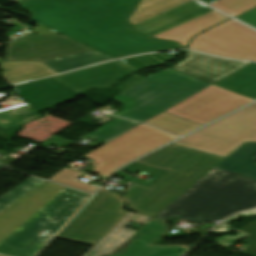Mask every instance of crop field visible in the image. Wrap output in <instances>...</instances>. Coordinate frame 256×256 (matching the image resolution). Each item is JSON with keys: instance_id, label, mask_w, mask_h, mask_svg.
I'll list each match as a JSON object with an SVG mask.
<instances>
[{"instance_id": "32", "label": "crop field", "mask_w": 256, "mask_h": 256, "mask_svg": "<svg viewBox=\"0 0 256 256\" xmlns=\"http://www.w3.org/2000/svg\"><path fill=\"white\" fill-rule=\"evenodd\" d=\"M201 1H203V2H205V3H207V4H209V3H212V2H214V1H216V0H201Z\"/></svg>"}, {"instance_id": "14", "label": "crop field", "mask_w": 256, "mask_h": 256, "mask_svg": "<svg viewBox=\"0 0 256 256\" xmlns=\"http://www.w3.org/2000/svg\"><path fill=\"white\" fill-rule=\"evenodd\" d=\"M227 19L229 18L216 11H213L209 14H206L197 19L189 21L178 27H175L166 32L158 34L154 37L161 38V39L174 40L184 47V46H187L192 36H195L198 33L210 28L211 26H214Z\"/></svg>"}, {"instance_id": "31", "label": "crop field", "mask_w": 256, "mask_h": 256, "mask_svg": "<svg viewBox=\"0 0 256 256\" xmlns=\"http://www.w3.org/2000/svg\"><path fill=\"white\" fill-rule=\"evenodd\" d=\"M226 231H230V230L226 227V225L224 223H222L220 226H218L212 232H226Z\"/></svg>"}, {"instance_id": "3", "label": "crop field", "mask_w": 256, "mask_h": 256, "mask_svg": "<svg viewBox=\"0 0 256 256\" xmlns=\"http://www.w3.org/2000/svg\"><path fill=\"white\" fill-rule=\"evenodd\" d=\"M254 207L256 181L213 168L151 222L165 225L174 217L200 224Z\"/></svg>"}, {"instance_id": "29", "label": "crop field", "mask_w": 256, "mask_h": 256, "mask_svg": "<svg viewBox=\"0 0 256 256\" xmlns=\"http://www.w3.org/2000/svg\"><path fill=\"white\" fill-rule=\"evenodd\" d=\"M144 77H140V76H136L134 75L130 80L122 83L120 86H118L117 88L113 89L119 93L123 92L124 90H126L127 88H129L130 86H132L133 84H135L136 82H138L139 80L143 79Z\"/></svg>"}, {"instance_id": "5", "label": "crop field", "mask_w": 256, "mask_h": 256, "mask_svg": "<svg viewBox=\"0 0 256 256\" xmlns=\"http://www.w3.org/2000/svg\"><path fill=\"white\" fill-rule=\"evenodd\" d=\"M246 141L256 142V103L173 144L226 157Z\"/></svg>"}, {"instance_id": "22", "label": "crop field", "mask_w": 256, "mask_h": 256, "mask_svg": "<svg viewBox=\"0 0 256 256\" xmlns=\"http://www.w3.org/2000/svg\"><path fill=\"white\" fill-rule=\"evenodd\" d=\"M10 86L54 75L52 71L40 63L12 69L2 72Z\"/></svg>"}, {"instance_id": "26", "label": "crop field", "mask_w": 256, "mask_h": 256, "mask_svg": "<svg viewBox=\"0 0 256 256\" xmlns=\"http://www.w3.org/2000/svg\"><path fill=\"white\" fill-rule=\"evenodd\" d=\"M121 61L140 70V69L148 68V67L159 65V64H164L165 62L170 60L161 54H145V55H140L136 57L125 58Z\"/></svg>"}, {"instance_id": "25", "label": "crop field", "mask_w": 256, "mask_h": 256, "mask_svg": "<svg viewBox=\"0 0 256 256\" xmlns=\"http://www.w3.org/2000/svg\"><path fill=\"white\" fill-rule=\"evenodd\" d=\"M37 86L52 94L61 101H70L75 99V92L60 84L56 80L50 78L38 82H34Z\"/></svg>"}, {"instance_id": "7", "label": "crop field", "mask_w": 256, "mask_h": 256, "mask_svg": "<svg viewBox=\"0 0 256 256\" xmlns=\"http://www.w3.org/2000/svg\"><path fill=\"white\" fill-rule=\"evenodd\" d=\"M123 204L121 196L101 189L56 237L94 246L128 213Z\"/></svg>"}, {"instance_id": "21", "label": "crop field", "mask_w": 256, "mask_h": 256, "mask_svg": "<svg viewBox=\"0 0 256 256\" xmlns=\"http://www.w3.org/2000/svg\"><path fill=\"white\" fill-rule=\"evenodd\" d=\"M138 125H140V123L115 118L102 126L100 129L80 137L79 140L82 141L90 137L96 141L105 144Z\"/></svg>"}, {"instance_id": "17", "label": "crop field", "mask_w": 256, "mask_h": 256, "mask_svg": "<svg viewBox=\"0 0 256 256\" xmlns=\"http://www.w3.org/2000/svg\"><path fill=\"white\" fill-rule=\"evenodd\" d=\"M137 216V214L129 212L108 234V236L88 251L84 256H107L124 241L131 237L136 231L126 229L129 223Z\"/></svg>"}, {"instance_id": "11", "label": "crop field", "mask_w": 256, "mask_h": 256, "mask_svg": "<svg viewBox=\"0 0 256 256\" xmlns=\"http://www.w3.org/2000/svg\"><path fill=\"white\" fill-rule=\"evenodd\" d=\"M135 71L137 70L117 60L52 78L79 93L93 87L104 89Z\"/></svg>"}, {"instance_id": "33", "label": "crop field", "mask_w": 256, "mask_h": 256, "mask_svg": "<svg viewBox=\"0 0 256 256\" xmlns=\"http://www.w3.org/2000/svg\"><path fill=\"white\" fill-rule=\"evenodd\" d=\"M4 166L0 165V169L3 168Z\"/></svg>"}, {"instance_id": "24", "label": "crop field", "mask_w": 256, "mask_h": 256, "mask_svg": "<svg viewBox=\"0 0 256 256\" xmlns=\"http://www.w3.org/2000/svg\"><path fill=\"white\" fill-rule=\"evenodd\" d=\"M211 6L236 17L252 8L256 7V0H219Z\"/></svg>"}, {"instance_id": "1", "label": "crop field", "mask_w": 256, "mask_h": 256, "mask_svg": "<svg viewBox=\"0 0 256 256\" xmlns=\"http://www.w3.org/2000/svg\"><path fill=\"white\" fill-rule=\"evenodd\" d=\"M141 0H16L32 20L115 59L182 48L135 30L128 19Z\"/></svg>"}, {"instance_id": "19", "label": "crop field", "mask_w": 256, "mask_h": 256, "mask_svg": "<svg viewBox=\"0 0 256 256\" xmlns=\"http://www.w3.org/2000/svg\"><path fill=\"white\" fill-rule=\"evenodd\" d=\"M188 1L190 0H142L129 22L134 26Z\"/></svg>"}, {"instance_id": "16", "label": "crop field", "mask_w": 256, "mask_h": 256, "mask_svg": "<svg viewBox=\"0 0 256 256\" xmlns=\"http://www.w3.org/2000/svg\"><path fill=\"white\" fill-rule=\"evenodd\" d=\"M214 85L256 100V63H252Z\"/></svg>"}, {"instance_id": "30", "label": "crop field", "mask_w": 256, "mask_h": 256, "mask_svg": "<svg viewBox=\"0 0 256 256\" xmlns=\"http://www.w3.org/2000/svg\"><path fill=\"white\" fill-rule=\"evenodd\" d=\"M239 215H241V216H243V217H245V218L256 216V209H255V210H252V211H248V212L241 213V214H239ZM239 215L233 216V217H231V218L225 220L226 223H228V222H230V221H232V220H235V219L239 218Z\"/></svg>"}, {"instance_id": "6", "label": "crop field", "mask_w": 256, "mask_h": 256, "mask_svg": "<svg viewBox=\"0 0 256 256\" xmlns=\"http://www.w3.org/2000/svg\"><path fill=\"white\" fill-rule=\"evenodd\" d=\"M90 195L53 184L37 194L46 215L41 223L49 229L28 249L20 250L0 240V254L9 256H36L60 228L85 203ZM14 216L0 212V231Z\"/></svg>"}, {"instance_id": "2", "label": "crop field", "mask_w": 256, "mask_h": 256, "mask_svg": "<svg viewBox=\"0 0 256 256\" xmlns=\"http://www.w3.org/2000/svg\"><path fill=\"white\" fill-rule=\"evenodd\" d=\"M224 159L170 144L136 161L168 171L148 187L129 184L122 198L131 211L155 217Z\"/></svg>"}, {"instance_id": "4", "label": "crop field", "mask_w": 256, "mask_h": 256, "mask_svg": "<svg viewBox=\"0 0 256 256\" xmlns=\"http://www.w3.org/2000/svg\"><path fill=\"white\" fill-rule=\"evenodd\" d=\"M208 86L169 68L113 98L124 104L115 115L144 122Z\"/></svg>"}, {"instance_id": "27", "label": "crop field", "mask_w": 256, "mask_h": 256, "mask_svg": "<svg viewBox=\"0 0 256 256\" xmlns=\"http://www.w3.org/2000/svg\"><path fill=\"white\" fill-rule=\"evenodd\" d=\"M246 235L239 233L237 236L235 237H231L229 235L219 238L217 240H215L214 242H216L217 244H219L221 247L223 248H228L229 246L233 245L237 240L245 237Z\"/></svg>"}, {"instance_id": "8", "label": "crop field", "mask_w": 256, "mask_h": 256, "mask_svg": "<svg viewBox=\"0 0 256 256\" xmlns=\"http://www.w3.org/2000/svg\"><path fill=\"white\" fill-rule=\"evenodd\" d=\"M186 49L229 59L256 61V31L231 20L196 36Z\"/></svg>"}, {"instance_id": "12", "label": "crop field", "mask_w": 256, "mask_h": 256, "mask_svg": "<svg viewBox=\"0 0 256 256\" xmlns=\"http://www.w3.org/2000/svg\"><path fill=\"white\" fill-rule=\"evenodd\" d=\"M187 54L188 58L186 60L171 68L210 84L249 64L216 58L194 51H189Z\"/></svg>"}, {"instance_id": "18", "label": "crop field", "mask_w": 256, "mask_h": 256, "mask_svg": "<svg viewBox=\"0 0 256 256\" xmlns=\"http://www.w3.org/2000/svg\"><path fill=\"white\" fill-rule=\"evenodd\" d=\"M113 59L97 50L43 62L55 72H63L97 62Z\"/></svg>"}, {"instance_id": "23", "label": "crop field", "mask_w": 256, "mask_h": 256, "mask_svg": "<svg viewBox=\"0 0 256 256\" xmlns=\"http://www.w3.org/2000/svg\"><path fill=\"white\" fill-rule=\"evenodd\" d=\"M44 181L36 179L34 177L28 179L24 183L20 184L16 188L12 189L8 193L0 197V211L42 184Z\"/></svg>"}, {"instance_id": "20", "label": "crop field", "mask_w": 256, "mask_h": 256, "mask_svg": "<svg viewBox=\"0 0 256 256\" xmlns=\"http://www.w3.org/2000/svg\"><path fill=\"white\" fill-rule=\"evenodd\" d=\"M13 89L40 114L47 109L63 104V102L32 83L14 87Z\"/></svg>"}, {"instance_id": "10", "label": "crop field", "mask_w": 256, "mask_h": 256, "mask_svg": "<svg viewBox=\"0 0 256 256\" xmlns=\"http://www.w3.org/2000/svg\"><path fill=\"white\" fill-rule=\"evenodd\" d=\"M51 184L43 183L2 211L16 217L0 232L1 239L17 248L28 249L47 230L40 225L45 215L35 195Z\"/></svg>"}, {"instance_id": "28", "label": "crop field", "mask_w": 256, "mask_h": 256, "mask_svg": "<svg viewBox=\"0 0 256 256\" xmlns=\"http://www.w3.org/2000/svg\"><path fill=\"white\" fill-rule=\"evenodd\" d=\"M237 18L256 28V10H252V11H250L246 14H243Z\"/></svg>"}, {"instance_id": "15", "label": "crop field", "mask_w": 256, "mask_h": 256, "mask_svg": "<svg viewBox=\"0 0 256 256\" xmlns=\"http://www.w3.org/2000/svg\"><path fill=\"white\" fill-rule=\"evenodd\" d=\"M256 143L247 142L229 155L216 168L243 174L256 180Z\"/></svg>"}, {"instance_id": "9", "label": "crop field", "mask_w": 256, "mask_h": 256, "mask_svg": "<svg viewBox=\"0 0 256 256\" xmlns=\"http://www.w3.org/2000/svg\"><path fill=\"white\" fill-rule=\"evenodd\" d=\"M254 100L211 85L165 112L204 126Z\"/></svg>"}, {"instance_id": "13", "label": "crop field", "mask_w": 256, "mask_h": 256, "mask_svg": "<svg viewBox=\"0 0 256 256\" xmlns=\"http://www.w3.org/2000/svg\"><path fill=\"white\" fill-rule=\"evenodd\" d=\"M211 11L213 10L193 0L140 23L134 28L154 36Z\"/></svg>"}]
</instances>
